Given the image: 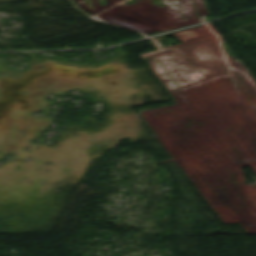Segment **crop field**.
Returning a JSON list of instances; mask_svg holds the SVG:
<instances>
[{
  "label": "crop field",
  "instance_id": "8a807250",
  "mask_svg": "<svg viewBox=\"0 0 256 256\" xmlns=\"http://www.w3.org/2000/svg\"><path fill=\"white\" fill-rule=\"evenodd\" d=\"M152 70L170 89L226 74L203 42L149 55Z\"/></svg>",
  "mask_w": 256,
  "mask_h": 256
}]
</instances>
